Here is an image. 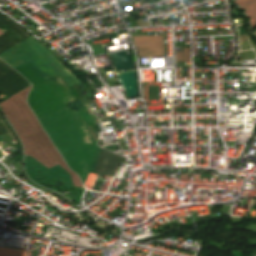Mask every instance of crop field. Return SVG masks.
Masks as SVG:
<instances>
[{"mask_svg":"<svg viewBox=\"0 0 256 256\" xmlns=\"http://www.w3.org/2000/svg\"><path fill=\"white\" fill-rule=\"evenodd\" d=\"M15 69L33 84L28 103L37 118L79 100L75 85L68 87L60 77L46 81L31 62Z\"/></svg>","mask_w":256,"mask_h":256,"instance_id":"crop-field-3","label":"crop field"},{"mask_svg":"<svg viewBox=\"0 0 256 256\" xmlns=\"http://www.w3.org/2000/svg\"><path fill=\"white\" fill-rule=\"evenodd\" d=\"M12 23H14V22L8 20L5 16L0 14V28L1 29L12 24Z\"/></svg>","mask_w":256,"mask_h":256,"instance_id":"crop-field-9","label":"crop field"},{"mask_svg":"<svg viewBox=\"0 0 256 256\" xmlns=\"http://www.w3.org/2000/svg\"><path fill=\"white\" fill-rule=\"evenodd\" d=\"M190 61L189 48H183V52L176 53V62Z\"/></svg>","mask_w":256,"mask_h":256,"instance_id":"crop-field-8","label":"crop field"},{"mask_svg":"<svg viewBox=\"0 0 256 256\" xmlns=\"http://www.w3.org/2000/svg\"><path fill=\"white\" fill-rule=\"evenodd\" d=\"M251 21L253 31L256 28V0H250L239 4Z\"/></svg>","mask_w":256,"mask_h":256,"instance_id":"crop-field-6","label":"crop field"},{"mask_svg":"<svg viewBox=\"0 0 256 256\" xmlns=\"http://www.w3.org/2000/svg\"><path fill=\"white\" fill-rule=\"evenodd\" d=\"M132 38L139 57L164 56L163 35Z\"/></svg>","mask_w":256,"mask_h":256,"instance_id":"crop-field-5","label":"crop field"},{"mask_svg":"<svg viewBox=\"0 0 256 256\" xmlns=\"http://www.w3.org/2000/svg\"><path fill=\"white\" fill-rule=\"evenodd\" d=\"M26 251L0 248V256H25Z\"/></svg>","mask_w":256,"mask_h":256,"instance_id":"crop-field-7","label":"crop field"},{"mask_svg":"<svg viewBox=\"0 0 256 256\" xmlns=\"http://www.w3.org/2000/svg\"><path fill=\"white\" fill-rule=\"evenodd\" d=\"M7 133L8 131L6 130V128L4 127L3 123L0 120V135L7 134Z\"/></svg>","mask_w":256,"mask_h":256,"instance_id":"crop-field-10","label":"crop field"},{"mask_svg":"<svg viewBox=\"0 0 256 256\" xmlns=\"http://www.w3.org/2000/svg\"><path fill=\"white\" fill-rule=\"evenodd\" d=\"M244 1H247V0H235V2H236L237 4L242 3V2H244Z\"/></svg>","mask_w":256,"mask_h":256,"instance_id":"crop-field-11","label":"crop field"},{"mask_svg":"<svg viewBox=\"0 0 256 256\" xmlns=\"http://www.w3.org/2000/svg\"><path fill=\"white\" fill-rule=\"evenodd\" d=\"M13 68L31 61L46 80L60 76L68 86L79 82L54 56L31 37L0 55Z\"/></svg>","mask_w":256,"mask_h":256,"instance_id":"crop-field-4","label":"crop field"},{"mask_svg":"<svg viewBox=\"0 0 256 256\" xmlns=\"http://www.w3.org/2000/svg\"><path fill=\"white\" fill-rule=\"evenodd\" d=\"M2 33H4V32H2V31L0 30V34H2Z\"/></svg>","mask_w":256,"mask_h":256,"instance_id":"crop-field-12","label":"crop field"},{"mask_svg":"<svg viewBox=\"0 0 256 256\" xmlns=\"http://www.w3.org/2000/svg\"><path fill=\"white\" fill-rule=\"evenodd\" d=\"M30 88L31 86L0 103L5 116L21 138L26 155L33 157L48 168L59 164L71 175L73 185L82 187L78 177L67 168L26 104V96Z\"/></svg>","mask_w":256,"mask_h":256,"instance_id":"crop-field-2","label":"crop field"},{"mask_svg":"<svg viewBox=\"0 0 256 256\" xmlns=\"http://www.w3.org/2000/svg\"><path fill=\"white\" fill-rule=\"evenodd\" d=\"M39 120L66 163L84 183L94 141L75 107L70 104Z\"/></svg>","mask_w":256,"mask_h":256,"instance_id":"crop-field-1","label":"crop field"}]
</instances>
